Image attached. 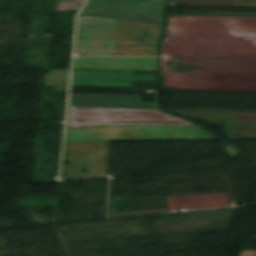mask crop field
Wrapping results in <instances>:
<instances>
[{"instance_id": "crop-field-1", "label": "crop field", "mask_w": 256, "mask_h": 256, "mask_svg": "<svg viewBox=\"0 0 256 256\" xmlns=\"http://www.w3.org/2000/svg\"><path fill=\"white\" fill-rule=\"evenodd\" d=\"M163 25L79 16L75 53L158 56Z\"/></svg>"}, {"instance_id": "crop-field-2", "label": "crop field", "mask_w": 256, "mask_h": 256, "mask_svg": "<svg viewBox=\"0 0 256 256\" xmlns=\"http://www.w3.org/2000/svg\"><path fill=\"white\" fill-rule=\"evenodd\" d=\"M216 139L195 126L67 125L65 142Z\"/></svg>"}, {"instance_id": "crop-field-3", "label": "crop field", "mask_w": 256, "mask_h": 256, "mask_svg": "<svg viewBox=\"0 0 256 256\" xmlns=\"http://www.w3.org/2000/svg\"><path fill=\"white\" fill-rule=\"evenodd\" d=\"M67 124L194 125L158 110L69 108Z\"/></svg>"}, {"instance_id": "crop-field-4", "label": "crop field", "mask_w": 256, "mask_h": 256, "mask_svg": "<svg viewBox=\"0 0 256 256\" xmlns=\"http://www.w3.org/2000/svg\"><path fill=\"white\" fill-rule=\"evenodd\" d=\"M168 0H89L80 15L103 18L162 22V12Z\"/></svg>"}, {"instance_id": "crop-field-5", "label": "crop field", "mask_w": 256, "mask_h": 256, "mask_svg": "<svg viewBox=\"0 0 256 256\" xmlns=\"http://www.w3.org/2000/svg\"><path fill=\"white\" fill-rule=\"evenodd\" d=\"M109 145L110 142L65 143L63 162L69 164L62 165L61 178L105 175Z\"/></svg>"}, {"instance_id": "crop-field-6", "label": "crop field", "mask_w": 256, "mask_h": 256, "mask_svg": "<svg viewBox=\"0 0 256 256\" xmlns=\"http://www.w3.org/2000/svg\"><path fill=\"white\" fill-rule=\"evenodd\" d=\"M133 72L73 70V85L129 87L136 80L157 81V75H132Z\"/></svg>"}, {"instance_id": "crop-field-7", "label": "crop field", "mask_w": 256, "mask_h": 256, "mask_svg": "<svg viewBox=\"0 0 256 256\" xmlns=\"http://www.w3.org/2000/svg\"><path fill=\"white\" fill-rule=\"evenodd\" d=\"M73 69L158 71V60L74 57Z\"/></svg>"}, {"instance_id": "crop-field-8", "label": "crop field", "mask_w": 256, "mask_h": 256, "mask_svg": "<svg viewBox=\"0 0 256 256\" xmlns=\"http://www.w3.org/2000/svg\"><path fill=\"white\" fill-rule=\"evenodd\" d=\"M69 107L157 109L156 103H141V96L70 94Z\"/></svg>"}, {"instance_id": "crop-field-9", "label": "crop field", "mask_w": 256, "mask_h": 256, "mask_svg": "<svg viewBox=\"0 0 256 256\" xmlns=\"http://www.w3.org/2000/svg\"><path fill=\"white\" fill-rule=\"evenodd\" d=\"M170 5L235 6L239 0H173Z\"/></svg>"}, {"instance_id": "crop-field-10", "label": "crop field", "mask_w": 256, "mask_h": 256, "mask_svg": "<svg viewBox=\"0 0 256 256\" xmlns=\"http://www.w3.org/2000/svg\"><path fill=\"white\" fill-rule=\"evenodd\" d=\"M239 7H256V0H240Z\"/></svg>"}]
</instances>
